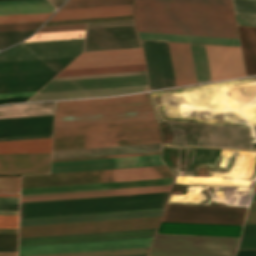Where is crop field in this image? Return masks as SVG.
I'll return each mask as SVG.
<instances>
[{
  "label": "crop field",
  "instance_id": "d3111659",
  "mask_svg": "<svg viewBox=\"0 0 256 256\" xmlns=\"http://www.w3.org/2000/svg\"><path fill=\"white\" fill-rule=\"evenodd\" d=\"M236 249L152 245L148 255L234 256Z\"/></svg>",
  "mask_w": 256,
  "mask_h": 256
},
{
  "label": "crop field",
  "instance_id": "8a807250",
  "mask_svg": "<svg viewBox=\"0 0 256 256\" xmlns=\"http://www.w3.org/2000/svg\"><path fill=\"white\" fill-rule=\"evenodd\" d=\"M154 128L148 93L56 102L54 136Z\"/></svg>",
  "mask_w": 256,
  "mask_h": 256
},
{
  "label": "crop field",
  "instance_id": "d8731c3e",
  "mask_svg": "<svg viewBox=\"0 0 256 256\" xmlns=\"http://www.w3.org/2000/svg\"><path fill=\"white\" fill-rule=\"evenodd\" d=\"M155 142L160 129L54 137L52 150Z\"/></svg>",
  "mask_w": 256,
  "mask_h": 256
},
{
  "label": "crop field",
  "instance_id": "d23c7cc5",
  "mask_svg": "<svg viewBox=\"0 0 256 256\" xmlns=\"http://www.w3.org/2000/svg\"><path fill=\"white\" fill-rule=\"evenodd\" d=\"M0 193H19V177H0Z\"/></svg>",
  "mask_w": 256,
  "mask_h": 256
},
{
  "label": "crop field",
  "instance_id": "c5b07064",
  "mask_svg": "<svg viewBox=\"0 0 256 256\" xmlns=\"http://www.w3.org/2000/svg\"><path fill=\"white\" fill-rule=\"evenodd\" d=\"M53 4H55L57 7L63 2L62 0H50Z\"/></svg>",
  "mask_w": 256,
  "mask_h": 256
},
{
  "label": "crop field",
  "instance_id": "bc2a9ffb",
  "mask_svg": "<svg viewBox=\"0 0 256 256\" xmlns=\"http://www.w3.org/2000/svg\"><path fill=\"white\" fill-rule=\"evenodd\" d=\"M155 231H156V229L123 231V232H109V233H95V234H81V235H67V236H53V237H39V238H25V239H19V246L79 242V241H93V240H106V239H120V238H133V237H147V236H153Z\"/></svg>",
  "mask_w": 256,
  "mask_h": 256
},
{
  "label": "crop field",
  "instance_id": "d32e631a",
  "mask_svg": "<svg viewBox=\"0 0 256 256\" xmlns=\"http://www.w3.org/2000/svg\"><path fill=\"white\" fill-rule=\"evenodd\" d=\"M54 102L0 106V118L53 114Z\"/></svg>",
  "mask_w": 256,
  "mask_h": 256
},
{
  "label": "crop field",
  "instance_id": "1d79db26",
  "mask_svg": "<svg viewBox=\"0 0 256 256\" xmlns=\"http://www.w3.org/2000/svg\"><path fill=\"white\" fill-rule=\"evenodd\" d=\"M154 154H160V152L140 153V154H126V155H113V156H99V157H86V158H72V159H58V160H52L51 162L71 161V160H85V159H99V158H112V157H126V156H140V155H154Z\"/></svg>",
  "mask_w": 256,
  "mask_h": 256
},
{
  "label": "crop field",
  "instance_id": "d1516ede",
  "mask_svg": "<svg viewBox=\"0 0 256 256\" xmlns=\"http://www.w3.org/2000/svg\"><path fill=\"white\" fill-rule=\"evenodd\" d=\"M205 47L212 81L245 76L239 47Z\"/></svg>",
  "mask_w": 256,
  "mask_h": 256
},
{
  "label": "crop field",
  "instance_id": "1f2cbd36",
  "mask_svg": "<svg viewBox=\"0 0 256 256\" xmlns=\"http://www.w3.org/2000/svg\"><path fill=\"white\" fill-rule=\"evenodd\" d=\"M156 1H170V2H184V3H198V4H212V5L232 6L231 0H156Z\"/></svg>",
  "mask_w": 256,
  "mask_h": 256
},
{
  "label": "crop field",
  "instance_id": "4177f3b9",
  "mask_svg": "<svg viewBox=\"0 0 256 256\" xmlns=\"http://www.w3.org/2000/svg\"><path fill=\"white\" fill-rule=\"evenodd\" d=\"M239 238L156 234L152 244L236 248Z\"/></svg>",
  "mask_w": 256,
  "mask_h": 256
},
{
  "label": "crop field",
  "instance_id": "733c2abd",
  "mask_svg": "<svg viewBox=\"0 0 256 256\" xmlns=\"http://www.w3.org/2000/svg\"><path fill=\"white\" fill-rule=\"evenodd\" d=\"M50 154L0 155V174L49 173Z\"/></svg>",
  "mask_w": 256,
  "mask_h": 256
},
{
  "label": "crop field",
  "instance_id": "03da06ac",
  "mask_svg": "<svg viewBox=\"0 0 256 256\" xmlns=\"http://www.w3.org/2000/svg\"><path fill=\"white\" fill-rule=\"evenodd\" d=\"M83 37H84V30L42 33V34H34L32 37H30L28 40H26L24 42L60 40V39H76V38H83Z\"/></svg>",
  "mask_w": 256,
  "mask_h": 256
},
{
  "label": "crop field",
  "instance_id": "fb207236",
  "mask_svg": "<svg viewBox=\"0 0 256 256\" xmlns=\"http://www.w3.org/2000/svg\"><path fill=\"white\" fill-rule=\"evenodd\" d=\"M253 191H256V183H255V187H254V190Z\"/></svg>",
  "mask_w": 256,
  "mask_h": 256
},
{
  "label": "crop field",
  "instance_id": "dafd665d",
  "mask_svg": "<svg viewBox=\"0 0 256 256\" xmlns=\"http://www.w3.org/2000/svg\"><path fill=\"white\" fill-rule=\"evenodd\" d=\"M171 185L21 196V202L169 191Z\"/></svg>",
  "mask_w": 256,
  "mask_h": 256
},
{
  "label": "crop field",
  "instance_id": "eef30255",
  "mask_svg": "<svg viewBox=\"0 0 256 256\" xmlns=\"http://www.w3.org/2000/svg\"><path fill=\"white\" fill-rule=\"evenodd\" d=\"M146 90H148L147 85H141V86L117 87V88L43 93V94H36L29 101L66 99V98H77V97L111 96V95H119V94H125V93L142 92Z\"/></svg>",
  "mask_w": 256,
  "mask_h": 256
},
{
  "label": "crop field",
  "instance_id": "ade564c9",
  "mask_svg": "<svg viewBox=\"0 0 256 256\" xmlns=\"http://www.w3.org/2000/svg\"><path fill=\"white\" fill-rule=\"evenodd\" d=\"M18 194H0V197H18Z\"/></svg>",
  "mask_w": 256,
  "mask_h": 256
},
{
  "label": "crop field",
  "instance_id": "28ad6ade",
  "mask_svg": "<svg viewBox=\"0 0 256 256\" xmlns=\"http://www.w3.org/2000/svg\"><path fill=\"white\" fill-rule=\"evenodd\" d=\"M141 47L134 26L87 29L84 51Z\"/></svg>",
  "mask_w": 256,
  "mask_h": 256
},
{
  "label": "crop field",
  "instance_id": "f4fd0767",
  "mask_svg": "<svg viewBox=\"0 0 256 256\" xmlns=\"http://www.w3.org/2000/svg\"><path fill=\"white\" fill-rule=\"evenodd\" d=\"M167 177H173V174L165 166H158L21 177V188Z\"/></svg>",
  "mask_w": 256,
  "mask_h": 256
},
{
  "label": "crop field",
  "instance_id": "1d83c4d3",
  "mask_svg": "<svg viewBox=\"0 0 256 256\" xmlns=\"http://www.w3.org/2000/svg\"><path fill=\"white\" fill-rule=\"evenodd\" d=\"M51 138L0 142V154L50 153Z\"/></svg>",
  "mask_w": 256,
  "mask_h": 256
},
{
  "label": "crop field",
  "instance_id": "750c4746",
  "mask_svg": "<svg viewBox=\"0 0 256 256\" xmlns=\"http://www.w3.org/2000/svg\"><path fill=\"white\" fill-rule=\"evenodd\" d=\"M47 0H20L0 2V15L54 12Z\"/></svg>",
  "mask_w": 256,
  "mask_h": 256
},
{
  "label": "crop field",
  "instance_id": "730fd06b",
  "mask_svg": "<svg viewBox=\"0 0 256 256\" xmlns=\"http://www.w3.org/2000/svg\"><path fill=\"white\" fill-rule=\"evenodd\" d=\"M245 215L165 211L162 221L242 225Z\"/></svg>",
  "mask_w": 256,
  "mask_h": 256
},
{
  "label": "crop field",
  "instance_id": "34b2d1b8",
  "mask_svg": "<svg viewBox=\"0 0 256 256\" xmlns=\"http://www.w3.org/2000/svg\"><path fill=\"white\" fill-rule=\"evenodd\" d=\"M169 192L21 203L20 218L164 207Z\"/></svg>",
  "mask_w": 256,
  "mask_h": 256
},
{
  "label": "crop field",
  "instance_id": "b80d0937",
  "mask_svg": "<svg viewBox=\"0 0 256 256\" xmlns=\"http://www.w3.org/2000/svg\"><path fill=\"white\" fill-rule=\"evenodd\" d=\"M166 88L175 86L167 43L157 42Z\"/></svg>",
  "mask_w": 256,
  "mask_h": 256
},
{
  "label": "crop field",
  "instance_id": "214f88e0",
  "mask_svg": "<svg viewBox=\"0 0 256 256\" xmlns=\"http://www.w3.org/2000/svg\"><path fill=\"white\" fill-rule=\"evenodd\" d=\"M242 226L161 222L156 233L239 237Z\"/></svg>",
  "mask_w": 256,
  "mask_h": 256
},
{
  "label": "crop field",
  "instance_id": "e1d0b9f6",
  "mask_svg": "<svg viewBox=\"0 0 256 256\" xmlns=\"http://www.w3.org/2000/svg\"><path fill=\"white\" fill-rule=\"evenodd\" d=\"M0 210H18V205H0Z\"/></svg>",
  "mask_w": 256,
  "mask_h": 256
},
{
  "label": "crop field",
  "instance_id": "ae633e8c",
  "mask_svg": "<svg viewBox=\"0 0 256 256\" xmlns=\"http://www.w3.org/2000/svg\"><path fill=\"white\" fill-rule=\"evenodd\" d=\"M0 215H18V211H0Z\"/></svg>",
  "mask_w": 256,
  "mask_h": 256
},
{
  "label": "crop field",
  "instance_id": "dd49c442",
  "mask_svg": "<svg viewBox=\"0 0 256 256\" xmlns=\"http://www.w3.org/2000/svg\"><path fill=\"white\" fill-rule=\"evenodd\" d=\"M172 145L248 148L249 128L170 124Z\"/></svg>",
  "mask_w": 256,
  "mask_h": 256
},
{
  "label": "crop field",
  "instance_id": "c39391a2",
  "mask_svg": "<svg viewBox=\"0 0 256 256\" xmlns=\"http://www.w3.org/2000/svg\"><path fill=\"white\" fill-rule=\"evenodd\" d=\"M0 256H16V252H0Z\"/></svg>",
  "mask_w": 256,
  "mask_h": 256
},
{
  "label": "crop field",
  "instance_id": "0765c3eb",
  "mask_svg": "<svg viewBox=\"0 0 256 256\" xmlns=\"http://www.w3.org/2000/svg\"><path fill=\"white\" fill-rule=\"evenodd\" d=\"M256 223V203H250L245 224Z\"/></svg>",
  "mask_w": 256,
  "mask_h": 256
},
{
  "label": "crop field",
  "instance_id": "b54c1fbb",
  "mask_svg": "<svg viewBox=\"0 0 256 256\" xmlns=\"http://www.w3.org/2000/svg\"><path fill=\"white\" fill-rule=\"evenodd\" d=\"M52 13L0 16V23L45 21Z\"/></svg>",
  "mask_w": 256,
  "mask_h": 256
},
{
  "label": "crop field",
  "instance_id": "4a817a6b",
  "mask_svg": "<svg viewBox=\"0 0 256 256\" xmlns=\"http://www.w3.org/2000/svg\"><path fill=\"white\" fill-rule=\"evenodd\" d=\"M147 84L146 75L50 82L41 91L55 92Z\"/></svg>",
  "mask_w": 256,
  "mask_h": 256
},
{
  "label": "crop field",
  "instance_id": "bd1437ed",
  "mask_svg": "<svg viewBox=\"0 0 256 256\" xmlns=\"http://www.w3.org/2000/svg\"><path fill=\"white\" fill-rule=\"evenodd\" d=\"M140 39L239 46L238 39L138 32Z\"/></svg>",
  "mask_w": 256,
  "mask_h": 256
},
{
  "label": "crop field",
  "instance_id": "412701ff",
  "mask_svg": "<svg viewBox=\"0 0 256 256\" xmlns=\"http://www.w3.org/2000/svg\"><path fill=\"white\" fill-rule=\"evenodd\" d=\"M73 59L0 64V94L38 91Z\"/></svg>",
  "mask_w": 256,
  "mask_h": 256
},
{
  "label": "crop field",
  "instance_id": "dbb93151",
  "mask_svg": "<svg viewBox=\"0 0 256 256\" xmlns=\"http://www.w3.org/2000/svg\"><path fill=\"white\" fill-rule=\"evenodd\" d=\"M237 24L256 26V14L235 12Z\"/></svg>",
  "mask_w": 256,
  "mask_h": 256
},
{
  "label": "crop field",
  "instance_id": "73cf0c24",
  "mask_svg": "<svg viewBox=\"0 0 256 256\" xmlns=\"http://www.w3.org/2000/svg\"><path fill=\"white\" fill-rule=\"evenodd\" d=\"M140 74H146V72L145 71H139V72H126V73H113V74L61 77V78H54L52 81L71 80V79H85V78H98V77H112V76H126V75H140Z\"/></svg>",
  "mask_w": 256,
  "mask_h": 256
},
{
  "label": "crop field",
  "instance_id": "d9b57169",
  "mask_svg": "<svg viewBox=\"0 0 256 256\" xmlns=\"http://www.w3.org/2000/svg\"><path fill=\"white\" fill-rule=\"evenodd\" d=\"M53 115L0 119V138L52 134Z\"/></svg>",
  "mask_w": 256,
  "mask_h": 256
},
{
  "label": "crop field",
  "instance_id": "cbeb9de0",
  "mask_svg": "<svg viewBox=\"0 0 256 256\" xmlns=\"http://www.w3.org/2000/svg\"><path fill=\"white\" fill-rule=\"evenodd\" d=\"M144 63L141 48L83 52L65 69Z\"/></svg>",
  "mask_w": 256,
  "mask_h": 256
},
{
  "label": "crop field",
  "instance_id": "3316defc",
  "mask_svg": "<svg viewBox=\"0 0 256 256\" xmlns=\"http://www.w3.org/2000/svg\"><path fill=\"white\" fill-rule=\"evenodd\" d=\"M153 237L19 247L18 256L149 247Z\"/></svg>",
  "mask_w": 256,
  "mask_h": 256
},
{
  "label": "crop field",
  "instance_id": "92a150f3",
  "mask_svg": "<svg viewBox=\"0 0 256 256\" xmlns=\"http://www.w3.org/2000/svg\"><path fill=\"white\" fill-rule=\"evenodd\" d=\"M172 179L173 178L125 181V182H111V183H97V184H83V185H69V186H55V187H41V188H27V189H21V195L82 191V190H96V189H110V188H123V187H137V186H151V185H165V184H171Z\"/></svg>",
  "mask_w": 256,
  "mask_h": 256
},
{
  "label": "crop field",
  "instance_id": "d14b1444",
  "mask_svg": "<svg viewBox=\"0 0 256 256\" xmlns=\"http://www.w3.org/2000/svg\"><path fill=\"white\" fill-rule=\"evenodd\" d=\"M0 233H17V229H0Z\"/></svg>",
  "mask_w": 256,
  "mask_h": 256
},
{
  "label": "crop field",
  "instance_id": "0bd39190",
  "mask_svg": "<svg viewBox=\"0 0 256 256\" xmlns=\"http://www.w3.org/2000/svg\"><path fill=\"white\" fill-rule=\"evenodd\" d=\"M247 208L167 204L165 210L245 214Z\"/></svg>",
  "mask_w": 256,
  "mask_h": 256
},
{
  "label": "crop field",
  "instance_id": "c21b1889",
  "mask_svg": "<svg viewBox=\"0 0 256 256\" xmlns=\"http://www.w3.org/2000/svg\"><path fill=\"white\" fill-rule=\"evenodd\" d=\"M133 0H69L61 9L132 4Z\"/></svg>",
  "mask_w": 256,
  "mask_h": 256
},
{
  "label": "crop field",
  "instance_id": "180be81f",
  "mask_svg": "<svg viewBox=\"0 0 256 256\" xmlns=\"http://www.w3.org/2000/svg\"><path fill=\"white\" fill-rule=\"evenodd\" d=\"M64 1V0H63Z\"/></svg>",
  "mask_w": 256,
  "mask_h": 256
},
{
  "label": "crop field",
  "instance_id": "25e5ab78",
  "mask_svg": "<svg viewBox=\"0 0 256 256\" xmlns=\"http://www.w3.org/2000/svg\"><path fill=\"white\" fill-rule=\"evenodd\" d=\"M235 11L256 13L255 0H233Z\"/></svg>",
  "mask_w": 256,
  "mask_h": 256
},
{
  "label": "crop field",
  "instance_id": "5d738f31",
  "mask_svg": "<svg viewBox=\"0 0 256 256\" xmlns=\"http://www.w3.org/2000/svg\"><path fill=\"white\" fill-rule=\"evenodd\" d=\"M256 248V224L245 225L238 249Z\"/></svg>",
  "mask_w": 256,
  "mask_h": 256
},
{
  "label": "crop field",
  "instance_id": "028f5c9d",
  "mask_svg": "<svg viewBox=\"0 0 256 256\" xmlns=\"http://www.w3.org/2000/svg\"><path fill=\"white\" fill-rule=\"evenodd\" d=\"M139 70H145L144 64L63 70L56 77L87 75V74H100V73H113V72H126V71H139Z\"/></svg>",
  "mask_w": 256,
  "mask_h": 256
},
{
  "label": "crop field",
  "instance_id": "0fb4a251",
  "mask_svg": "<svg viewBox=\"0 0 256 256\" xmlns=\"http://www.w3.org/2000/svg\"><path fill=\"white\" fill-rule=\"evenodd\" d=\"M85 24L42 27L37 33L84 29Z\"/></svg>",
  "mask_w": 256,
  "mask_h": 256
},
{
  "label": "crop field",
  "instance_id": "9d1cf04e",
  "mask_svg": "<svg viewBox=\"0 0 256 256\" xmlns=\"http://www.w3.org/2000/svg\"><path fill=\"white\" fill-rule=\"evenodd\" d=\"M18 216H0V228H17Z\"/></svg>",
  "mask_w": 256,
  "mask_h": 256
},
{
  "label": "crop field",
  "instance_id": "e52e79f7",
  "mask_svg": "<svg viewBox=\"0 0 256 256\" xmlns=\"http://www.w3.org/2000/svg\"><path fill=\"white\" fill-rule=\"evenodd\" d=\"M161 217L20 227L19 238L151 229Z\"/></svg>",
  "mask_w": 256,
  "mask_h": 256
},
{
  "label": "crop field",
  "instance_id": "c035e120",
  "mask_svg": "<svg viewBox=\"0 0 256 256\" xmlns=\"http://www.w3.org/2000/svg\"><path fill=\"white\" fill-rule=\"evenodd\" d=\"M148 249L149 248L84 252V253H69V254H54V255H40V256H126V255L147 254Z\"/></svg>",
  "mask_w": 256,
  "mask_h": 256
},
{
  "label": "crop field",
  "instance_id": "447ae74e",
  "mask_svg": "<svg viewBox=\"0 0 256 256\" xmlns=\"http://www.w3.org/2000/svg\"><path fill=\"white\" fill-rule=\"evenodd\" d=\"M134 25L133 21L87 24V28Z\"/></svg>",
  "mask_w": 256,
  "mask_h": 256
},
{
  "label": "crop field",
  "instance_id": "5866460e",
  "mask_svg": "<svg viewBox=\"0 0 256 256\" xmlns=\"http://www.w3.org/2000/svg\"><path fill=\"white\" fill-rule=\"evenodd\" d=\"M197 83L211 81L204 45L190 44Z\"/></svg>",
  "mask_w": 256,
  "mask_h": 256
},
{
  "label": "crop field",
  "instance_id": "0f1d7ab4",
  "mask_svg": "<svg viewBox=\"0 0 256 256\" xmlns=\"http://www.w3.org/2000/svg\"><path fill=\"white\" fill-rule=\"evenodd\" d=\"M52 135H46V136H32V137H18V138H5L0 139V141L4 140H18V139H31V138H45V137H51Z\"/></svg>",
  "mask_w": 256,
  "mask_h": 256
},
{
  "label": "crop field",
  "instance_id": "c3a83c6f",
  "mask_svg": "<svg viewBox=\"0 0 256 256\" xmlns=\"http://www.w3.org/2000/svg\"><path fill=\"white\" fill-rule=\"evenodd\" d=\"M250 202H256V192L252 193L251 201Z\"/></svg>",
  "mask_w": 256,
  "mask_h": 256
},
{
  "label": "crop field",
  "instance_id": "5a996713",
  "mask_svg": "<svg viewBox=\"0 0 256 256\" xmlns=\"http://www.w3.org/2000/svg\"><path fill=\"white\" fill-rule=\"evenodd\" d=\"M83 39L20 43L0 52V63L69 58L82 52Z\"/></svg>",
  "mask_w": 256,
  "mask_h": 256
},
{
  "label": "crop field",
  "instance_id": "22f410ed",
  "mask_svg": "<svg viewBox=\"0 0 256 256\" xmlns=\"http://www.w3.org/2000/svg\"><path fill=\"white\" fill-rule=\"evenodd\" d=\"M163 164L160 155L51 163V173Z\"/></svg>",
  "mask_w": 256,
  "mask_h": 256
},
{
  "label": "crop field",
  "instance_id": "db79e9e6",
  "mask_svg": "<svg viewBox=\"0 0 256 256\" xmlns=\"http://www.w3.org/2000/svg\"><path fill=\"white\" fill-rule=\"evenodd\" d=\"M36 92L30 93H16V94H1L0 99H9V98H23V97H31Z\"/></svg>",
  "mask_w": 256,
  "mask_h": 256
},
{
  "label": "crop field",
  "instance_id": "7b73153f",
  "mask_svg": "<svg viewBox=\"0 0 256 256\" xmlns=\"http://www.w3.org/2000/svg\"><path fill=\"white\" fill-rule=\"evenodd\" d=\"M140 42H141V45H142V48H143V51H144V55H145V59H146L147 73H148V81H149V88H150V90H152V89H153V86H152V80H151V74H150V68H149V62H148L146 44H145V41H140Z\"/></svg>",
  "mask_w": 256,
  "mask_h": 256
},
{
  "label": "crop field",
  "instance_id": "425ffa30",
  "mask_svg": "<svg viewBox=\"0 0 256 256\" xmlns=\"http://www.w3.org/2000/svg\"><path fill=\"white\" fill-rule=\"evenodd\" d=\"M17 234H0V251H16Z\"/></svg>",
  "mask_w": 256,
  "mask_h": 256
},
{
  "label": "crop field",
  "instance_id": "a9b5d70f",
  "mask_svg": "<svg viewBox=\"0 0 256 256\" xmlns=\"http://www.w3.org/2000/svg\"><path fill=\"white\" fill-rule=\"evenodd\" d=\"M168 45L176 86L196 83L189 44Z\"/></svg>",
  "mask_w": 256,
  "mask_h": 256
},
{
  "label": "crop field",
  "instance_id": "78b8030e",
  "mask_svg": "<svg viewBox=\"0 0 256 256\" xmlns=\"http://www.w3.org/2000/svg\"><path fill=\"white\" fill-rule=\"evenodd\" d=\"M0 204H18V198H0Z\"/></svg>",
  "mask_w": 256,
  "mask_h": 256
},
{
  "label": "crop field",
  "instance_id": "89e229c0",
  "mask_svg": "<svg viewBox=\"0 0 256 256\" xmlns=\"http://www.w3.org/2000/svg\"><path fill=\"white\" fill-rule=\"evenodd\" d=\"M43 22L0 24V31L37 29Z\"/></svg>",
  "mask_w": 256,
  "mask_h": 256
},
{
  "label": "crop field",
  "instance_id": "00972430",
  "mask_svg": "<svg viewBox=\"0 0 256 256\" xmlns=\"http://www.w3.org/2000/svg\"><path fill=\"white\" fill-rule=\"evenodd\" d=\"M161 143L52 151V159L160 151Z\"/></svg>",
  "mask_w": 256,
  "mask_h": 256
},
{
  "label": "crop field",
  "instance_id": "ae1a2a85",
  "mask_svg": "<svg viewBox=\"0 0 256 256\" xmlns=\"http://www.w3.org/2000/svg\"><path fill=\"white\" fill-rule=\"evenodd\" d=\"M132 5L59 10L49 21L131 15Z\"/></svg>",
  "mask_w": 256,
  "mask_h": 256
},
{
  "label": "crop field",
  "instance_id": "5142ce71",
  "mask_svg": "<svg viewBox=\"0 0 256 256\" xmlns=\"http://www.w3.org/2000/svg\"><path fill=\"white\" fill-rule=\"evenodd\" d=\"M164 208L20 219V226L161 216Z\"/></svg>",
  "mask_w": 256,
  "mask_h": 256
},
{
  "label": "crop field",
  "instance_id": "7312dd0a",
  "mask_svg": "<svg viewBox=\"0 0 256 256\" xmlns=\"http://www.w3.org/2000/svg\"><path fill=\"white\" fill-rule=\"evenodd\" d=\"M140 256H147V255H140Z\"/></svg>",
  "mask_w": 256,
  "mask_h": 256
},
{
  "label": "crop field",
  "instance_id": "ac0d7876",
  "mask_svg": "<svg viewBox=\"0 0 256 256\" xmlns=\"http://www.w3.org/2000/svg\"><path fill=\"white\" fill-rule=\"evenodd\" d=\"M138 31L238 38L232 7L135 0Z\"/></svg>",
  "mask_w": 256,
  "mask_h": 256
},
{
  "label": "crop field",
  "instance_id": "e1f06a70",
  "mask_svg": "<svg viewBox=\"0 0 256 256\" xmlns=\"http://www.w3.org/2000/svg\"><path fill=\"white\" fill-rule=\"evenodd\" d=\"M154 89L165 88L156 42L146 41Z\"/></svg>",
  "mask_w": 256,
  "mask_h": 256
},
{
  "label": "crop field",
  "instance_id": "120bbe31",
  "mask_svg": "<svg viewBox=\"0 0 256 256\" xmlns=\"http://www.w3.org/2000/svg\"><path fill=\"white\" fill-rule=\"evenodd\" d=\"M247 76L256 75V28L237 26Z\"/></svg>",
  "mask_w": 256,
  "mask_h": 256
}]
</instances>
